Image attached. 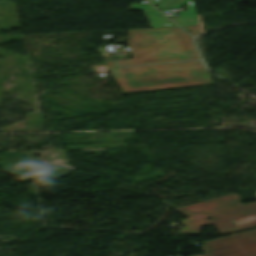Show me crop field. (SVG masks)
Instances as JSON below:
<instances>
[{"instance_id": "crop-field-1", "label": "crop field", "mask_w": 256, "mask_h": 256, "mask_svg": "<svg viewBox=\"0 0 256 256\" xmlns=\"http://www.w3.org/2000/svg\"><path fill=\"white\" fill-rule=\"evenodd\" d=\"M132 58L119 66L199 58L190 35L179 27L128 30Z\"/></svg>"}, {"instance_id": "crop-field-2", "label": "crop field", "mask_w": 256, "mask_h": 256, "mask_svg": "<svg viewBox=\"0 0 256 256\" xmlns=\"http://www.w3.org/2000/svg\"><path fill=\"white\" fill-rule=\"evenodd\" d=\"M110 70L124 92L212 83L200 61Z\"/></svg>"}, {"instance_id": "crop-field-3", "label": "crop field", "mask_w": 256, "mask_h": 256, "mask_svg": "<svg viewBox=\"0 0 256 256\" xmlns=\"http://www.w3.org/2000/svg\"><path fill=\"white\" fill-rule=\"evenodd\" d=\"M175 210L189 217L181 221L187 229L178 232L211 223L215 224L221 235L256 227V202L241 206L238 196L234 194Z\"/></svg>"}, {"instance_id": "crop-field-4", "label": "crop field", "mask_w": 256, "mask_h": 256, "mask_svg": "<svg viewBox=\"0 0 256 256\" xmlns=\"http://www.w3.org/2000/svg\"><path fill=\"white\" fill-rule=\"evenodd\" d=\"M202 256H246L232 236L202 243Z\"/></svg>"}, {"instance_id": "crop-field-5", "label": "crop field", "mask_w": 256, "mask_h": 256, "mask_svg": "<svg viewBox=\"0 0 256 256\" xmlns=\"http://www.w3.org/2000/svg\"><path fill=\"white\" fill-rule=\"evenodd\" d=\"M150 2L158 6L161 10L169 8H180L186 5L188 10L179 12L178 18H172L181 26L198 25L193 0H150Z\"/></svg>"}, {"instance_id": "crop-field-6", "label": "crop field", "mask_w": 256, "mask_h": 256, "mask_svg": "<svg viewBox=\"0 0 256 256\" xmlns=\"http://www.w3.org/2000/svg\"><path fill=\"white\" fill-rule=\"evenodd\" d=\"M129 9L144 11L152 27L177 26L148 3H134Z\"/></svg>"}, {"instance_id": "crop-field-7", "label": "crop field", "mask_w": 256, "mask_h": 256, "mask_svg": "<svg viewBox=\"0 0 256 256\" xmlns=\"http://www.w3.org/2000/svg\"><path fill=\"white\" fill-rule=\"evenodd\" d=\"M235 237L249 256H256V230L236 234Z\"/></svg>"}, {"instance_id": "crop-field-8", "label": "crop field", "mask_w": 256, "mask_h": 256, "mask_svg": "<svg viewBox=\"0 0 256 256\" xmlns=\"http://www.w3.org/2000/svg\"><path fill=\"white\" fill-rule=\"evenodd\" d=\"M183 28H185L187 31H189L193 35L200 33L198 26H190V27H183Z\"/></svg>"}, {"instance_id": "crop-field-9", "label": "crop field", "mask_w": 256, "mask_h": 256, "mask_svg": "<svg viewBox=\"0 0 256 256\" xmlns=\"http://www.w3.org/2000/svg\"><path fill=\"white\" fill-rule=\"evenodd\" d=\"M199 228H195V229H191V230H188V231L180 232V234L199 235Z\"/></svg>"}, {"instance_id": "crop-field-10", "label": "crop field", "mask_w": 256, "mask_h": 256, "mask_svg": "<svg viewBox=\"0 0 256 256\" xmlns=\"http://www.w3.org/2000/svg\"><path fill=\"white\" fill-rule=\"evenodd\" d=\"M107 67H111V66H115L114 64V61L113 60H108V61H105Z\"/></svg>"}]
</instances>
